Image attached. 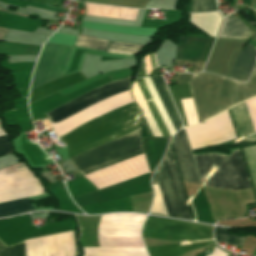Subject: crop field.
I'll use <instances>...</instances> for the list:
<instances>
[{
  "label": "crop field",
  "mask_w": 256,
  "mask_h": 256,
  "mask_svg": "<svg viewBox=\"0 0 256 256\" xmlns=\"http://www.w3.org/2000/svg\"><path fill=\"white\" fill-rule=\"evenodd\" d=\"M176 82H188L199 123L256 96V73L245 84L207 73L177 74Z\"/></svg>",
  "instance_id": "1"
},
{
  "label": "crop field",
  "mask_w": 256,
  "mask_h": 256,
  "mask_svg": "<svg viewBox=\"0 0 256 256\" xmlns=\"http://www.w3.org/2000/svg\"><path fill=\"white\" fill-rule=\"evenodd\" d=\"M128 90L129 77L111 81L110 83L100 86L44 115L49 119L52 125L101 99ZM131 102L132 99L129 91L121 93L101 100L77 112L76 114L52 125V127L57 137H59L95 117H100Z\"/></svg>",
  "instance_id": "2"
},
{
  "label": "crop field",
  "mask_w": 256,
  "mask_h": 256,
  "mask_svg": "<svg viewBox=\"0 0 256 256\" xmlns=\"http://www.w3.org/2000/svg\"><path fill=\"white\" fill-rule=\"evenodd\" d=\"M142 112L133 102L96 118L59 138L68 147V158L95 146L112 141L141 127Z\"/></svg>",
  "instance_id": "3"
},
{
  "label": "crop field",
  "mask_w": 256,
  "mask_h": 256,
  "mask_svg": "<svg viewBox=\"0 0 256 256\" xmlns=\"http://www.w3.org/2000/svg\"><path fill=\"white\" fill-rule=\"evenodd\" d=\"M144 79H145V81H146V83H147V85H148V87H149V89L152 93V96H153V98H154V100H155V102H156V104H157V106H158V108L161 112V115H162V117H163L171 135H173L176 132V130L178 131V129L181 127V120H180V118H179V116L176 112L175 106H174V104H173V102L170 98V95L167 91L166 85H165L162 77L161 76L160 77H152V80H153V82H154V84H155V86H156V88H157V90L160 94V97H161V99H162V101H163V103H164V105H165V107H166V109L169 113V116H170L176 130H175L168 114H167V111H166V109H165V107H164V105H163V103H162V101L159 97V94H158L152 80L149 77H146ZM144 79L139 78V79L135 80V82H136V84H137V86H138V88H139V90H140V92H141V94H142V96H143V98H144V100H145V102H146V104H147V106H148V108H149V110H150V112H151V114H152L160 132H161V134H162V136L163 137L170 136V134L168 132V129H167V127H166V125H165V123H164V121H163V119L160 115V112H159V110H158V108H157V106H156V104H155V102H154V100L151 96V93H150ZM135 82L131 86L132 97H133L135 103H137L138 106L142 109L143 114H144V116H145V118H146L154 136L155 137H162L158 128H157V126H156V124H155V122H154V120H153V118H152V116H151V114H150V112H149V110H148V108H147V106H146V104H145V102H144V100H143V98H142V96H141V94H140V92H139V90H138V88H137V86H136V84H135Z\"/></svg>",
  "instance_id": "4"
},
{
  "label": "crop field",
  "mask_w": 256,
  "mask_h": 256,
  "mask_svg": "<svg viewBox=\"0 0 256 256\" xmlns=\"http://www.w3.org/2000/svg\"><path fill=\"white\" fill-rule=\"evenodd\" d=\"M199 176H205L213 165L211 171L206 175V180L202 185L239 190L249 188L250 183L242 161L240 151H234L231 157H225L217 154L193 155Z\"/></svg>",
  "instance_id": "5"
},
{
  "label": "crop field",
  "mask_w": 256,
  "mask_h": 256,
  "mask_svg": "<svg viewBox=\"0 0 256 256\" xmlns=\"http://www.w3.org/2000/svg\"><path fill=\"white\" fill-rule=\"evenodd\" d=\"M141 129L95 147L69 161L82 176L142 153Z\"/></svg>",
  "instance_id": "6"
},
{
  "label": "crop field",
  "mask_w": 256,
  "mask_h": 256,
  "mask_svg": "<svg viewBox=\"0 0 256 256\" xmlns=\"http://www.w3.org/2000/svg\"><path fill=\"white\" fill-rule=\"evenodd\" d=\"M158 183L168 215L193 220L189 206L185 204V194L178 170L169 148L160 166L154 172L152 184Z\"/></svg>",
  "instance_id": "7"
},
{
  "label": "crop field",
  "mask_w": 256,
  "mask_h": 256,
  "mask_svg": "<svg viewBox=\"0 0 256 256\" xmlns=\"http://www.w3.org/2000/svg\"><path fill=\"white\" fill-rule=\"evenodd\" d=\"M26 256H74L72 231L25 241ZM24 241L7 246L0 240V256H25Z\"/></svg>",
  "instance_id": "8"
},
{
  "label": "crop field",
  "mask_w": 256,
  "mask_h": 256,
  "mask_svg": "<svg viewBox=\"0 0 256 256\" xmlns=\"http://www.w3.org/2000/svg\"><path fill=\"white\" fill-rule=\"evenodd\" d=\"M45 193L41 182L23 162L0 170V203Z\"/></svg>",
  "instance_id": "9"
},
{
  "label": "crop field",
  "mask_w": 256,
  "mask_h": 256,
  "mask_svg": "<svg viewBox=\"0 0 256 256\" xmlns=\"http://www.w3.org/2000/svg\"><path fill=\"white\" fill-rule=\"evenodd\" d=\"M71 48L46 43L34 71L31 90L63 75Z\"/></svg>",
  "instance_id": "10"
},
{
  "label": "crop field",
  "mask_w": 256,
  "mask_h": 256,
  "mask_svg": "<svg viewBox=\"0 0 256 256\" xmlns=\"http://www.w3.org/2000/svg\"><path fill=\"white\" fill-rule=\"evenodd\" d=\"M210 228L212 227L151 216L147 217L143 225V230L146 231L187 236L200 239H210Z\"/></svg>",
  "instance_id": "11"
},
{
  "label": "crop field",
  "mask_w": 256,
  "mask_h": 256,
  "mask_svg": "<svg viewBox=\"0 0 256 256\" xmlns=\"http://www.w3.org/2000/svg\"><path fill=\"white\" fill-rule=\"evenodd\" d=\"M171 144L182 180L200 183L183 129L172 138Z\"/></svg>",
  "instance_id": "12"
},
{
  "label": "crop field",
  "mask_w": 256,
  "mask_h": 256,
  "mask_svg": "<svg viewBox=\"0 0 256 256\" xmlns=\"http://www.w3.org/2000/svg\"><path fill=\"white\" fill-rule=\"evenodd\" d=\"M247 109L249 111L252 123L256 131V97L245 102ZM245 103L231 108V113L233 115L234 123L238 136H243L245 134H251L254 131L253 125L251 123L248 111L246 109ZM248 139L241 140L247 143L256 142V135H251L247 137Z\"/></svg>",
  "instance_id": "13"
},
{
  "label": "crop field",
  "mask_w": 256,
  "mask_h": 256,
  "mask_svg": "<svg viewBox=\"0 0 256 256\" xmlns=\"http://www.w3.org/2000/svg\"><path fill=\"white\" fill-rule=\"evenodd\" d=\"M84 80H86V78L80 72L58 78L52 82H49L41 87L32 90V92H30L29 103L44 96H47L51 93H54L56 91L65 89L74 84L82 82Z\"/></svg>",
  "instance_id": "14"
},
{
  "label": "crop field",
  "mask_w": 256,
  "mask_h": 256,
  "mask_svg": "<svg viewBox=\"0 0 256 256\" xmlns=\"http://www.w3.org/2000/svg\"><path fill=\"white\" fill-rule=\"evenodd\" d=\"M255 62L256 48L248 44L247 47L239 54L229 77L241 82H246Z\"/></svg>",
  "instance_id": "15"
},
{
  "label": "crop field",
  "mask_w": 256,
  "mask_h": 256,
  "mask_svg": "<svg viewBox=\"0 0 256 256\" xmlns=\"http://www.w3.org/2000/svg\"><path fill=\"white\" fill-rule=\"evenodd\" d=\"M251 35L252 32L249 28L233 16L225 19V23L218 37L247 39Z\"/></svg>",
  "instance_id": "16"
},
{
  "label": "crop field",
  "mask_w": 256,
  "mask_h": 256,
  "mask_svg": "<svg viewBox=\"0 0 256 256\" xmlns=\"http://www.w3.org/2000/svg\"><path fill=\"white\" fill-rule=\"evenodd\" d=\"M210 243H214V242L209 241V242L193 243V245H189V246H179V244H175V245H167V246L149 247L146 249L149 253V256H180L181 254L187 251H190L196 248H201Z\"/></svg>",
  "instance_id": "17"
},
{
  "label": "crop field",
  "mask_w": 256,
  "mask_h": 256,
  "mask_svg": "<svg viewBox=\"0 0 256 256\" xmlns=\"http://www.w3.org/2000/svg\"><path fill=\"white\" fill-rule=\"evenodd\" d=\"M35 210L29 198L0 204V217Z\"/></svg>",
  "instance_id": "18"
},
{
  "label": "crop field",
  "mask_w": 256,
  "mask_h": 256,
  "mask_svg": "<svg viewBox=\"0 0 256 256\" xmlns=\"http://www.w3.org/2000/svg\"><path fill=\"white\" fill-rule=\"evenodd\" d=\"M142 45L110 42L106 52L134 55L138 53Z\"/></svg>",
  "instance_id": "19"
},
{
  "label": "crop field",
  "mask_w": 256,
  "mask_h": 256,
  "mask_svg": "<svg viewBox=\"0 0 256 256\" xmlns=\"http://www.w3.org/2000/svg\"><path fill=\"white\" fill-rule=\"evenodd\" d=\"M154 189V200L152 203V207L150 210V213H155V214H162V215H167L158 185H152ZM168 216V215H167Z\"/></svg>",
  "instance_id": "20"
},
{
  "label": "crop field",
  "mask_w": 256,
  "mask_h": 256,
  "mask_svg": "<svg viewBox=\"0 0 256 256\" xmlns=\"http://www.w3.org/2000/svg\"><path fill=\"white\" fill-rule=\"evenodd\" d=\"M216 11L214 0H192L191 12H211Z\"/></svg>",
  "instance_id": "21"
},
{
  "label": "crop field",
  "mask_w": 256,
  "mask_h": 256,
  "mask_svg": "<svg viewBox=\"0 0 256 256\" xmlns=\"http://www.w3.org/2000/svg\"><path fill=\"white\" fill-rule=\"evenodd\" d=\"M108 42L78 37L74 46L104 50Z\"/></svg>",
  "instance_id": "22"
},
{
  "label": "crop field",
  "mask_w": 256,
  "mask_h": 256,
  "mask_svg": "<svg viewBox=\"0 0 256 256\" xmlns=\"http://www.w3.org/2000/svg\"><path fill=\"white\" fill-rule=\"evenodd\" d=\"M215 240L240 245L243 237L231 235L228 233V230L215 229Z\"/></svg>",
  "instance_id": "23"
},
{
  "label": "crop field",
  "mask_w": 256,
  "mask_h": 256,
  "mask_svg": "<svg viewBox=\"0 0 256 256\" xmlns=\"http://www.w3.org/2000/svg\"><path fill=\"white\" fill-rule=\"evenodd\" d=\"M256 188V146L243 149Z\"/></svg>",
  "instance_id": "24"
},
{
  "label": "crop field",
  "mask_w": 256,
  "mask_h": 256,
  "mask_svg": "<svg viewBox=\"0 0 256 256\" xmlns=\"http://www.w3.org/2000/svg\"><path fill=\"white\" fill-rule=\"evenodd\" d=\"M181 101H182L187 125L189 126V125L197 124L198 122H197L195 110L193 107L192 99L191 98L183 99Z\"/></svg>",
  "instance_id": "25"
},
{
  "label": "crop field",
  "mask_w": 256,
  "mask_h": 256,
  "mask_svg": "<svg viewBox=\"0 0 256 256\" xmlns=\"http://www.w3.org/2000/svg\"><path fill=\"white\" fill-rule=\"evenodd\" d=\"M12 148L10 146L9 136H1L0 137V156L12 153Z\"/></svg>",
  "instance_id": "26"
},
{
  "label": "crop field",
  "mask_w": 256,
  "mask_h": 256,
  "mask_svg": "<svg viewBox=\"0 0 256 256\" xmlns=\"http://www.w3.org/2000/svg\"><path fill=\"white\" fill-rule=\"evenodd\" d=\"M144 69H145V66H144V64H143V65H142V69H141V71H140V73H139L138 76H142V75H143Z\"/></svg>",
  "instance_id": "27"
},
{
  "label": "crop field",
  "mask_w": 256,
  "mask_h": 256,
  "mask_svg": "<svg viewBox=\"0 0 256 256\" xmlns=\"http://www.w3.org/2000/svg\"><path fill=\"white\" fill-rule=\"evenodd\" d=\"M254 72H256V67H255V69H254L253 73H254Z\"/></svg>",
  "instance_id": "28"
}]
</instances>
